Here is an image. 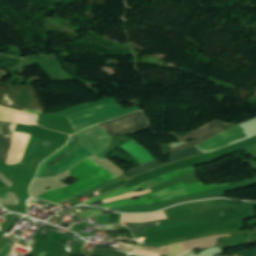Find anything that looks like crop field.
<instances>
[{"mask_svg":"<svg viewBox=\"0 0 256 256\" xmlns=\"http://www.w3.org/2000/svg\"><path fill=\"white\" fill-rule=\"evenodd\" d=\"M4 74H0V81L2 80V78L4 77Z\"/></svg>","mask_w":256,"mask_h":256,"instance_id":"dafd665d","label":"crop field"},{"mask_svg":"<svg viewBox=\"0 0 256 256\" xmlns=\"http://www.w3.org/2000/svg\"><path fill=\"white\" fill-rule=\"evenodd\" d=\"M91 155L93 154L83 148L50 169L59 175Z\"/></svg>","mask_w":256,"mask_h":256,"instance_id":"28ad6ade","label":"crop field"},{"mask_svg":"<svg viewBox=\"0 0 256 256\" xmlns=\"http://www.w3.org/2000/svg\"><path fill=\"white\" fill-rule=\"evenodd\" d=\"M159 225L158 222L130 226L133 232H144L143 228Z\"/></svg>","mask_w":256,"mask_h":256,"instance_id":"22f410ed","label":"crop field"},{"mask_svg":"<svg viewBox=\"0 0 256 256\" xmlns=\"http://www.w3.org/2000/svg\"><path fill=\"white\" fill-rule=\"evenodd\" d=\"M70 147V145H66L62 150H60V151H58L56 154H54L52 157H50L48 160H46L45 162H44V164L42 165V167H41V169H40V171H39V173H38V175H37V177L36 178H39V177H41L42 176V173H43V170H44V168H45V166H46V164L48 163V162H50L53 158H55L58 154H60L61 152H63V151H65L67 148H69Z\"/></svg>","mask_w":256,"mask_h":256,"instance_id":"cbeb9de0","label":"crop field"},{"mask_svg":"<svg viewBox=\"0 0 256 256\" xmlns=\"http://www.w3.org/2000/svg\"><path fill=\"white\" fill-rule=\"evenodd\" d=\"M242 131L244 130L239 125H237L205 141L204 143L197 145V147L204 151H214L216 149L228 145V143L232 141L245 137Z\"/></svg>","mask_w":256,"mask_h":256,"instance_id":"d8731c3e","label":"crop field"},{"mask_svg":"<svg viewBox=\"0 0 256 256\" xmlns=\"http://www.w3.org/2000/svg\"><path fill=\"white\" fill-rule=\"evenodd\" d=\"M100 212H102V211H98V210H95V209L89 210V211H86V212H82L81 213V218L86 217V216H90V215H94V214H97V213H100Z\"/></svg>","mask_w":256,"mask_h":256,"instance_id":"bc2a9ffb","label":"crop field"},{"mask_svg":"<svg viewBox=\"0 0 256 256\" xmlns=\"http://www.w3.org/2000/svg\"><path fill=\"white\" fill-rule=\"evenodd\" d=\"M11 243H7L0 249V256H9L11 253Z\"/></svg>","mask_w":256,"mask_h":256,"instance_id":"d9b57169","label":"crop field"},{"mask_svg":"<svg viewBox=\"0 0 256 256\" xmlns=\"http://www.w3.org/2000/svg\"><path fill=\"white\" fill-rule=\"evenodd\" d=\"M192 171H195L193 167L183 169V170H179V171H175V172H171V173L165 174L163 176L150 179V180H148V181H146V182H144V183H142L138 186H134V187H130V188H122L120 190L114 191V192L109 193L107 195L97 197V198H93V199L85 202L84 204L94 203V202H97V201H100V200H103V199H106V198L114 197V196H117V195H121V194H124V193L135 191V190H138V189H141V188H143L145 190V189L154 187V186H156V185H158V184H160V183H162L166 180L174 178L178 175L184 174L186 172H192Z\"/></svg>","mask_w":256,"mask_h":256,"instance_id":"e52e79f7","label":"crop field"},{"mask_svg":"<svg viewBox=\"0 0 256 256\" xmlns=\"http://www.w3.org/2000/svg\"><path fill=\"white\" fill-rule=\"evenodd\" d=\"M114 183H117V182L110 181V182H107V183H103V184H101V185H99L97 187H94V188H92V189H90V190H88V191L78 195L77 197L82 198L84 196L89 195L90 193L94 192L95 190H97V189H99L101 187H104V186H107V185H110V184H114Z\"/></svg>","mask_w":256,"mask_h":256,"instance_id":"5142ce71","label":"crop field"},{"mask_svg":"<svg viewBox=\"0 0 256 256\" xmlns=\"http://www.w3.org/2000/svg\"><path fill=\"white\" fill-rule=\"evenodd\" d=\"M231 184H225V185H212V186H205L202 182L194 183L187 185L185 183H179L170 187H167L165 189L153 192L151 194H148L146 196H143L141 199L134 200H124L123 202L129 206V205H151L160 201L173 199L213 188L223 187Z\"/></svg>","mask_w":256,"mask_h":256,"instance_id":"412701ff","label":"crop field"},{"mask_svg":"<svg viewBox=\"0 0 256 256\" xmlns=\"http://www.w3.org/2000/svg\"><path fill=\"white\" fill-rule=\"evenodd\" d=\"M212 204L215 203H227V204H231V205H235V206H239V205H243V204H247L248 202H233V201H228V200H211L210 201Z\"/></svg>","mask_w":256,"mask_h":256,"instance_id":"733c2abd","label":"crop field"},{"mask_svg":"<svg viewBox=\"0 0 256 256\" xmlns=\"http://www.w3.org/2000/svg\"><path fill=\"white\" fill-rule=\"evenodd\" d=\"M126 206L122 201L112 202L105 205H101V207L110 208V207H120Z\"/></svg>","mask_w":256,"mask_h":256,"instance_id":"4a817a6b","label":"crop field"},{"mask_svg":"<svg viewBox=\"0 0 256 256\" xmlns=\"http://www.w3.org/2000/svg\"><path fill=\"white\" fill-rule=\"evenodd\" d=\"M16 124L3 123L0 132V161H6L8 151L10 149L11 138Z\"/></svg>","mask_w":256,"mask_h":256,"instance_id":"3316defc","label":"crop field"},{"mask_svg":"<svg viewBox=\"0 0 256 256\" xmlns=\"http://www.w3.org/2000/svg\"><path fill=\"white\" fill-rule=\"evenodd\" d=\"M121 147L133 155L140 164L154 160L153 157L145 149H143L133 140L127 142Z\"/></svg>","mask_w":256,"mask_h":256,"instance_id":"d1516ede","label":"crop field"},{"mask_svg":"<svg viewBox=\"0 0 256 256\" xmlns=\"http://www.w3.org/2000/svg\"><path fill=\"white\" fill-rule=\"evenodd\" d=\"M137 110H139V108L136 106L124 109L117 104L115 98H110L84 104L58 114L69 117L76 131H80L93 124Z\"/></svg>","mask_w":256,"mask_h":256,"instance_id":"ac0d7876","label":"crop field"},{"mask_svg":"<svg viewBox=\"0 0 256 256\" xmlns=\"http://www.w3.org/2000/svg\"><path fill=\"white\" fill-rule=\"evenodd\" d=\"M0 105L36 114H43L35 87L0 84Z\"/></svg>","mask_w":256,"mask_h":256,"instance_id":"34b2d1b8","label":"crop field"},{"mask_svg":"<svg viewBox=\"0 0 256 256\" xmlns=\"http://www.w3.org/2000/svg\"><path fill=\"white\" fill-rule=\"evenodd\" d=\"M71 176L80 181L67 187L48 191L39 198L49 200L51 202H62L73 198L74 196L104 182L115 179L108 172L96 165L92 161L86 159L70 169Z\"/></svg>","mask_w":256,"mask_h":256,"instance_id":"8a807250","label":"crop field"},{"mask_svg":"<svg viewBox=\"0 0 256 256\" xmlns=\"http://www.w3.org/2000/svg\"><path fill=\"white\" fill-rule=\"evenodd\" d=\"M1 124H2V123H0V127H1Z\"/></svg>","mask_w":256,"mask_h":256,"instance_id":"00972430","label":"crop field"},{"mask_svg":"<svg viewBox=\"0 0 256 256\" xmlns=\"http://www.w3.org/2000/svg\"><path fill=\"white\" fill-rule=\"evenodd\" d=\"M0 198H7V193L0 192Z\"/></svg>","mask_w":256,"mask_h":256,"instance_id":"92a150f3","label":"crop field"},{"mask_svg":"<svg viewBox=\"0 0 256 256\" xmlns=\"http://www.w3.org/2000/svg\"><path fill=\"white\" fill-rule=\"evenodd\" d=\"M112 137L121 136L132 132L133 134L148 128L146 118L142 112H137L129 116L113 120L99 125Z\"/></svg>","mask_w":256,"mask_h":256,"instance_id":"f4fd0767","label":"crop field"},{"mask_svg":"<svg viewBox=\"0 0 256 256\" xmlns=\"http://www.w3.org/2000/svg\"><path fill=\"white\" fill-rule=\"evenodd\" d=\"M232 126H235L234 124H231V125H227V124H223L217 120L199 128L198 130L190 133V134H187L185 136H182L180 137V140L181 142L183 141H186L190 138H193V139H196L199 137V141H196V142H192V143H189V144H185V145H182L180 147H177L173 150H171L170 152L174 153L178 150H181V149H184V148H187V147H190V146H193V145H197L205 140H207L208 138L232 127Z\"/></svg>","mask_w":256,"mask_h":256,"instance_id":"dd49c442","label":"crop field"},{"mask_svg":"<svg viewBox=\"0 0 256 256\" xmlns=\"http://www.w3.org/2000/svg\"><path fill=\"white\" fill-rule=\"evenodd\" d=\"M239 254H241V253H238V254H235V255H239ZM242 254L244 256H256V250L244 251V252H242Z\"/></svg>","mask_w":256,"mask_h":256,"instance_id":"214f88e0","label":"crop field"},{"mask_svg":"<svg viewBox=\"0 0 256 256\" xmlns=\"http://www.w3.org/2000/svg\"><path fill=\"white\" fill-rule=\"evenodd\" d=\"M198 154H202V152H200L195 146H193V147L187 148L185 150L179 151V152H177L173 155H170L168 157H171V161L174 162V161H177V160H180V159H183V158H187V157H191V156H195V155H198ZM172 162H169V163H172ZM169 163L160 164L157 160L152 161V162L144 164L143 166H139V167L133 169L132 171L126 173V175L129 178H131V177H133L137 174L155 169L157 167H160V166H163V165H166V164H169Z\"/></svg>","mask_w":256,"mask_h":256,"instance_id":"5a996713","label":"crop field"}]
</instances>
